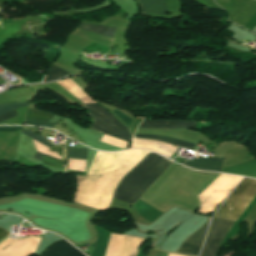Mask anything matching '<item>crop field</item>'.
Wrapping results in <instances>:
<instances>
[{
  "instance_id": "obj_2",
  "label": "crop field",
  "mask_w": 256,
  "mask_h": 256,
  "mask_svg": "<svg viewBox=\"0 0 256 256\" xmlns=\"http://www.w3.org/2000/svg\"><path fill=\"white\" fill-rule=\"evenodd\" d=\"M80 106L88 111L93 120V124L89 127V129L123 140L131 141L132 135L130 134L129 130L120 124L113 115L108 113L102 107L96 103Z\"/></svg>"
},
{
  "instance_id": "obj_18",
  "label": "crop field",
  "mask_w": 256,
  "mask_h": 256,
  "mask_svg": "<svg viewBox=\"0 0 256 256\" xmlns=\"http://www.w3.org/2000/svg\"><path fill=\"white\" fill-rule=\"evenodd\" d=\"M21 129L22 127H0V131H17Z\"/></svg>"
},
{
  "instance_id": "obj_19",
  "label": "crop field",
  "mask_w": 256,
  "mask_h": 256,
  "mask_svg": "<svg viewBox=\"0 0 256 256\" xmlns=\"http://www.w3.org/2000/svg\"><path fill=\"white\" fill-rule=\"evenodd\" d=\"M16 115V111L0 116V122Z\"/></svg>"
},
{
  "instance_id": "obj_4",
  "label": "crop field",
  "mask_w": 256,
  "mask_h": 256,
  "mask_svg": "<svg viewBox=\"0 0 256 256\" xmlns=\"http://www.w3.org/2000/svg\"><path fill=\"white\" fill-rule=\"evenodd\" d=\"M232 224L230 221L212 219L201 256H215Z\"/></svg>"
},
{
  "instance_id": "obj_14",
  "label": "crop field",
  "mask_w": 256,
  "mask_h": 256,
  "mask_svg": "<svg viewBox=\"0 0 256 256\" xmlns=\"http://www.w3.org/2000/svg\"><path fill=\"white\" fill-rule=\"evenodd\" d=\"M64 75H70V73L56 67V66H53L51 65L48 73L46 74L45 76V79L43 82L45 81H53V80H56V79H59L61 78L62 76Z\"/></svg>"
},
{
  "instance_id": "obj_16",
  "label": "crop field",
  "mask_w": 256,
  "mask_h": 256,
  "mask_svg": "<svg viewBox=\"0 0 256 256\" xmlns=\"http://www.w3.org/2000/svg\"><path fill=\"white\" fill-rule=\"evenodd\" d=\"M68 150H69V153H68L69 157L82 158V159H86L87 157L88 150L76 149V148H68ZM73 158H69V159H73ZM82 159H73V160H82ZM82 161H86V160H82Z\"/></svg>"
},
{
  "instance_id": "obj_11",
  "label": "crop field",
  "mask_w": 256,
  "mask_h": 256,
  "mask_svg": "<svg viewBox=\"0 0 256 256\" xmlns=\"http://www.w3.org/2000/svg\"><path fill=\"white\" fill-rule=\"evenodd\" d=\"M143 13L165 15L167 7L165 0H139Z\"/></svg>"
},
{
  "instance_id": "obj_20",
  "label": "crop field",
  "mask_w": 256,
  "mask_h": 256,
  "mask_svg": "<svg viewBox=\"0 0 256 256\" xmlns=\"http://www.w3.org/2000/svg\"><path fill=\"white\" fill-rule=\"evenodd\" d=\"M8 235L9 233L6 230L0 228V240Z\"/></svg>"
},
{
  "instance_id": "obj_10",
  "label": "crop field",
  "mask_w": 256,
  "mask_h": 256,
  "mask_svg": "<svg viewBox=\"0 0 256 256\" xmlns=\"http://www.w3.org/2000/svg\"><path fill=\"white\" fill-rule=\"evenodd\" d=\"M28 117H34V118H40L44 120L50 121V119L53 117V114L45 113L39 110H31L29 109L27 112ZM26 118V123L28 125H35V126H42V127H49L53 128L55 124L50 123L48 121L40 120V119H34V118Z\"/></svg>"
},
{
  "instance_id": "obj_8",
  "label": "crop field",
  "mask_w": 256,
  "mask_h": 256,
  "mask_svg": "<svg viewBox=\"0 0 256 256\" xmlns=\"http://www.w3.org/2000/svg\"><path fill=\"white\" fill-rule=\"evenodd\" d=\"M23 134L27 135L28 137L40 142L41 144L50 147V143L42 136H39L35 133L27 132V131H21ZM35 159L43 161L42 164L50 165L53 167L61 168L63 169L62 161L56 158H52L46 155H43L41 153H36Z\"/></svg>"
},
{
  "instance_id": "obj_15",
  "label": "crop field",
  "mask_w": 256,
  "mask_h": 256,
  "mask_svg": "<svg viewBox=\"0 0 256 256\" xmlns=\"http://www.w3.org/2000/svg\"><path fill=\"white\" fill-rule=\"evenodd\" d=\"M29 103H5L0 104V115L5 114L9 111L28 106Z\"/></svg>"
},
{
  "instance_id": "obj_13",
  "label": "crop field",
  "mask_w": 256,
  "mask_h": 256,
  "mask_svg": "<svg viewBox=\"0 0 256 256\" xmlns=\"http://www.w3.org/2000/svg\"><path fill=\"white\" fill-rule=\"evenodd\" d=\"M134 137H139V138H153V139H157L163 142H168V143H173L176 144L178 146H181L183 148H188V149H193L194 144H190V143H186L183 141H179L176 139H172V138H168V137H162V136H152V135H141V134H135Z\"/></svg>"
},
{
  "instance_id": "obj_9",
  "label": "crop field",
  "mask_w": 256,
  "mask_h": 256,
  "mask_svg": "<svg viewBox=\"0 0 256 256\" xmlns=\"http://www.w3.org/2000/svg\"><path fill=\"white\" fill-rule=\"evenodd\" d=\"M222 161H223L222 159L213 158V157H208V158L199 157L192 162L185 163L184 165L201 169V170L220 172Z\"/></svg>"
},
{
  "instance_id": "obj_5",
  "label": "crop field",
  "mask_w": 256,
  "mask_h": 256,
  "mask_svg": "<svg viewBox=\"0 0 256 256\" xmlns=\"http://www.w3.org/2000/svg\"><path fill=\"white\" fill-rule=\"evenodd\" d=\"M209 219L210 218L207 217L206 220L203 222V226L201 224V226H202L201 233H200V229H201V226H200L197 229V231L186 241V243L177 252L193 254L196 243H197V239H198V236L200 233L199 240H198L196 250L194 253L195 256H199V253H200V250L202 247V243H203L206 231H207Z\"/></svg>"
},
{
  "instance_id": "obj_1",
  "label": "crop field",
  "mask_w": 256,
  "mask_h": 256,
  "mask_svg": "<svg viewBox=\"0 0 256 256\" xmlns=\"http://www.w3.org/2000/svg\"><path fill=\"white\" fill-rule=\"evenodd\" d=\"M171 163V160L157 154H148L138 166L125 176L119 184L114 198L133 204Z\"/></svg>"
},
{
  "instance_id": "obj_12",
  "label": "crop field",
  "mask_w": 256,
  "mask_h": 256,
  "mask_svg": "<svg viewBox=\"0 0 256 256\" xmlns=\"http://www.w3.org/2000/svg\"><path fill=\"white\" fill-rule=\"evenodd\" d=\"M77 29L113 38L117 28L81 23Z\"/></svg>"
},
{
  "instance_id": "obj_7",
  "label": "crop field",
  "mask_w": 256,
  "mask_h": 256,
  "mask_svg": "<svg viewBox=\"0 0 256 256\" xmlns=\"http://www.w3.org/2000/svg\"><path fill=\"white\" fill-rule=\"evenodd\" d=\"M196 121H143L139 128H153V129H184L193 128Z\"/></svg>"
},
{
  "instance_id": "obj_17",
  "label": "crop field",
  "mask_w": 256,
  "mask_h": 256,
  "mask_svg": "<svg viewBox=\"0 0 256 256\" xmlns=\"http://www.w3.org/2000/svg\"><path fill=\"white\" fill-rule=\"evenodd\" d=\"M115 115H117L123 122H125L127 125L133 122L131 119H129L124 113H122L119 109L113 112Z\"/></svg>"
},
{
  "instance_id": "obj_6",
  "label": "crop field",
  "mask_w": 256,
  "mask_h": 256,
  "mask_svg": "<svg viewBox=\"0 0 256 256\" xmlns=\"http://www.w3.org/2000/svg\"><path fill=\"white\" fill-rule=\"evenodd\" d=\"M41 256H84L81 252L76 250L72 245H70L65 240L57 241L50 244V246L45 249Z\"/></svg>"
},
{
  "instance_id": "obj_3",
  "label": "crop field",
  "mask_w": 256,
  "mask_h": 256,
  "mask_svg": "<svg viewBox=\"0 0 256 256\" xmlns=\"http://www.w3.org/2000/svg\"><path fill=\"white\" fill-rule=\"evenodd\" d=\"M255 193L256 180L244 178L220 208L215 217L235 221Z\"/></svg>"
}]
</instances>
